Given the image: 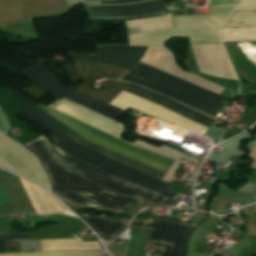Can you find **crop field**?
<instances>
[{"label":"crop field","mask_w":256,"mask_h":256,"mask_svg":"<svg viewBox=\"0 0 256 256\" xmlns=\"http://www.w3.org/2000/svg\"><path fill=\"white\" fill-rule=\"evenodd\" d=\"M40 135L23 144L45 169L52 192L88 208L106 211L135 203L164 204L167 197L69 155Z\"/></svg>","instance_id":"crop-field-1"},{"label":"crop field","mask_w":256,"mask_h":256,"mask_svg":"<svg viewBox=\"0 0 256 256\" xmlns=\"http://www.w3.org/2000/svg\"><path fill=\"white\" fill-rule=\"evenodd\" d=\"M235 7L210 8V13L205 15L174 16V28L130 35L129 45L163 47L162 43L172 36H191V44L221 43L222 25ZM146 49L137 46H98V63L128 70Z\"/></svg>","instance_id":"crop-field-2"},{"label":"crop field","mask_w":256,"mask_h":256,"mask_svg":"<svg viewBox=\"0 0 256 256\" xmlns=\"http://www.w3.org/2000/svg\"><path fill=\"white\" fill-rule=\"evenodd\" d=\"M6 93L8 95H10L13 99H15L17 102H19L21 105H23L24 107L29 109L31 112H33L34 114H36L37 116H39L40 118L45 120L47 123H49L56 129L61 131L63 134H65L66 136H68L69 138L74 140L76 143H78L84 147H87L89 149H92L96 152H99L103 155L111 157L115 160H118L122 163H125L129 166L137 168L141 171H144L148 174L156 176L160 179H162V177L165 175V172H167V170L170 168V166L174 162V160L163 157L161 155L150 152L148 150L130 146V145H128L116 138H113V137H111V136L91 127V126L84 125V124L64 115V114L56 112L41 103L38 104L42 108H44L46 111H48L50 114H52L54 117H56L61 122H63L65 125H67L69 128H71L73 131L78 133L80 136H82L98 145H101L103 147H106V148L116 151L118 153H121L128 157H131L135 160H138L140 162H143L145 164H148L150 166H153V167L163 170L165 172L155 169L153 167H150L148 165H145L143 163H140L138 161H135L131 158H128L126 156H123L121 154H118L116 152L108 150L106 148H103L101 146H98V145L80 137L78 134L73 132L71 129H69L67 126H65L63 123H61L59 120H57L52 115H50L48 112H46L44 109H42L40 106L34 104L33 102H31L29 99H27L25 96L18 93L17 91L13 90V91H9Z\"/></svg>","instance_id":"crop-field-3"},{"label":"crop field","mask_w":256,"mask_h":256,"mask_svg":"<svg viewBox=\"0 0 256 256\" xmlns=\"http://www.w3.org/2000/svg\"><path fill=\"white\" fill-rule=\"evenodd\" d=\"M20 74L25 76L27 79L38 85L40 88L58 100L64 98L112 120H114L122 112L121 110L107 103L70 90L66 87L67 85L63 84L49 69L45 68L41 64ZM64 99L54 104L51 108L98 129L113 134L117 137L120 136V133L123 129L121 124L91 112L78 105H75L71 102H68Z\"/></svg>","instance_id":"crop-field-4"},{"label":"crop field","mask_w":256,"mask_h":256,"mask_svg":"<svg viewBox=\"0 0 256 256\" xmlns=\"http://www.w3.org/2000/svg\"><path fill=\"white\" fill-rule=\"evenodd\" d=\"M122 80L137 83L207 115L223 110L227 98L138 62Z\"/></svg>","instance_id":"crop-field-5"},{"label":"crop field","mask_w":256,"mask_h":256,"mask_svg":"<svg viewBox=\"0 0 256 256\" xmlns=\"http://www.w3.org/2000/svg\"><path fill=\"white\" fill-rule=\"evenodd\" d=\"M122 92L154 103L160 107H163L169 111L181 115L191 121H194L206 128H208L214 121L213 119H210L171 99H168L166 97H163L161 95H158L156 93H153L151 91H148L133 84H129L126 88L122 90ZM122 92H120L109 104L137 116H139L142 112H145L147 114L158 117L170 123L176 124L188 130L199 133L201 135H203V133L206 131V128L196 123H193L181 116H178L154 104L124 94Z\"/></svg>","instance_id":"crop-field-6"},{"label":"crop field","mask_w":256,"mask_h":256,"mask_svg":"<svg viewBox=\"0 0 256 256\" xmlns=\"http://www.w3.org/2000/svg\"><path fill=\"white\" fill-rule=\"evenodd\" d=\"M16 112L21 116H23L24 118L34 122L42 130L46 131L48 134L54 137L53 143L57 145L59 148H61L64 152L70 155H73L85 162L93 164L97 167H99L102 164V162L106 159V157L102 155H99L97 153H94L90 150H87L79 146L78 144L73 142L71 139H69L68 137H66L59 131H57L55 128H53L52 126L44 122L42 119H40L39 117H37L36 115L28 111L23 106L20 105V107L17 109ZM101 168L113 174H116L120 177H123L127 180H130L134 183H137L141 186H144L153 191H156L160 194H163L167 197L173 198L176 195L173 193H169L168 186L166 183L160 180H157L155 178H152L148 175H145L141 172H138L136 170H133L129 167H126L122 164L114 162L110 159H108Z\"/></svg>","instance_id":"crop-field-7"},{"label":"crop field","mask_w":256,"mask_h":256,"mask_svg":"<svg viewBox=\"0 0 256 256\" xmlns=\"http://www.w3.org/2000/svg\"><path fill=\"white\" fill-rule=\"evenodd\" d=\"M3 134L0 132V168L49 188L47 177L37 158Z\"/></svg>","instance_id":"crop-field-8"},{"label":"crop field","mask_w":256,"mask_h":256,"mask_svg":"<svg viewBox=\"0 0 256 256\" xmlns=\"http://www.w3.org/2000/svg\"><path fill=\"white\" fill-rule=\"evenodd\" d=\"M197 224L161 219L133 220L129 228L151 229L149 243L170 246L165 256H182L186 237Z\"/></svg>","instance_id":"crop-field-9"},{"label":"crop field","mask_w":256,"mask_h":256,"mask_svg":"<svg viewBox=\"0 0 256 256\" xmlns=\"http://www.w3.org/2000/svg\"><path fill=\"white\" fill-rule=\"evenodd\" d=\"M142 0L129 1H100L101 4L126 3ZM92 17H124L141 15L153 12L164 11L161 0H153L135 5L110 6V7H88Z\"/></svg>","instance_id":"crop-field-10"},{"label":"crop field","mask_w":256,"mask_h":256,"mask_svg":"<svg viewBox=\"0 0 256 256\" xmlns=\"http://www.w3.org/2000/svg\"><path fill=\"white\" fill-rule=\"evenodd\" d=\"M36 214L46 215L52 213H62L75 216L65 206L58 202L51 194L39 186L19 178Z\"/></svg>","instance_id":"crop-field-11"},{"label":"crop field","mask_w":256,"mask_h":256,"mask_svg":"<svg viewBox=\"0 0 256 256\" xmlns=\"http://www.w3.org/2000/svg\"><path fill=\"white\" fill-rule=\"evenodd\" d=\"M125 24H126L128 35L147 32V31H153L158 29H164V28H170L172 27L171 13L162 15V16L128 21V22H125Z\"/></svg>","instance_id":"crop-field-12"},{"label":"crop field","mask_w":256,"mask_h":256,"mask_svg":"<svg viewBox=\"0 0 256 256\" xmlns=\"http://www.w3.org/2000/svg\"><path fill=\"white\" fill-rule=\"evenodd\" d=\"M42 251L100 250L98 242H82L80 239L40 240Z\"/></svg>","instance_id":"crop-field-13"},{"label":"crop field","mask_w":256,"mask_h":256,"mask_svg":"<svg viewBox=\"0 0 256 256\" xmlns=\"http://www.w3.org/2000/svg\"><path fill=\"white\" fill-rule=\"evenodd\" d=\"M85 221L93 228L100 236L101 239L111 240L114 236L119 234L128 223L83 216Z\"/></svg>","instance_id":"crop-field-14"},{"label":"crop field","mask_w":256,"mask_h":256,"mask_svg":"<svg viewBox=\"0 0 256 256\" xmlns=\"http://www.w3.org/2000/svg\"><path fill=\"white\" fill-rule=\"evenodd\" d=\"M223 41L256 40V28H224Z\"/></svg>","instance_id":"crop-field-15"},{"label":"crop field","mask_w":256,"mask_h":256,"mask_svg":"<svg viewBox=\"0 0 256 256\" xmlns=\"http://www.w3.org/2000/svg\"><path fill=\"white\" fill-rule=\"evenodd\" d=\"M256 26V11L234 12L225 27Z\"/></svg>","instance_id":"crop-field-16"},{"label":"crop field","mask_w":256,"mask_h":256,"mask_svg":"<svg viewBox=\"0 0 256 256\" xmlns=\"http://www.w3.org/2000/svg\"><path fill=\"white\" fill-rule=\"evenodd\" d=\"M101 252H56V253H35V254H10L0 256H100Z\"/></svg>","instance_id":"crop-field-17"},{"label":"crop field","mask_w":256,"mask_h":256,"mask_svg":"<svg viewBox=\"0 0 256 256\" xmlns=\"http://www.w3.org/2000/svg\"><path fill=\"white\" fill-rule=\"evenodd\" d=\"M20 238H32L31 232L0 231V240ZM4 241L5 240L0 241V253H6Z\"/></svg>","instance_id":"crop-field-18"},{"label":"crop field","mask_w":256,"mask_h":256,"mask_svg":"<svg viewBox=\"0 0 256 256\" xmlns=\"http://www.w3.org/2000/svg\"><path fill=\"white\" fill-rule=\"evenodd\" d=\"M168 185L170 187V191H172V192H175V193L180 194V195L190 194V191H189L188 187L176 185V184L170 183V182H168Z\"/></svg>","instance_id":"crop-field-19"},{"label":"crop field","mask_w":256,"mask_h":256,"mask_svg":"<svg viewBox=\"0 0 256 256\" xmlns=\"http://www.w3.org/2000/svg\"><path fill=\"white\" fill-rule=\"evenodd\" d=\"M239 1L240 0H211V2L206 6L238 3Z\"/></svg>","instance_id":"crop-field-20"},{"label":"crop field","mask_w":256,"mask_h":256,"mask_svg":"<svg viewBox=\"0 0 256 256\" xmlns=\"http://www.w3.org/2000/svg\"><path fill=\"white\" fill-rule=\"evenodd\" d=\"M9 200H12V199L10 198V196L6 193V191L0 185V205L9 201Z\"/></svg>","instance_id":"crop-field-21"},{"label":"crop field","mask_w":256,"mask_h":256,"mask_svg":"<svg viewBox=\"0 0 256 256\" xmlns=\"http://www.w3.org/2000/svg\"><path fill=\"white\" fill-rule=\"evenodd\" d=\"M250 157L253 158V164L251 165L252 167H254V169H256V146L253 148V150L250 152L249 154Z\"/></svg>","instance_id":"crop-field-22"},{"label":"crop field","mask_w":256,"mask_h":256,"mask_svg":"<svg viewBox=\"0 0 256 256\" xmlns=\"http://www.w3.org/2000/svg\"><path fill=\"white\" fill-rule=\"evenodd\" d=\"M246 88L256 92V81L248 85Z\"/></svg>","instance_id":"crop-field-23"},{"label":"crop field","mask_w":256,"mask_h":256,"mask_svg":"<svg viewBox=\"0 0 256 256\" xmlns=\"http://www.w3.org/2000/svg\"><path fill=\"white\" fill-rule=\"evenodd\" d=\"M249 256H256V253H250Z\"/></svg>","instance_id":"crop-field-24"},{"label":"crop field","mask_w":256,"mask_h":256,"mask_svg":"<svg viewBox=\"0 0 256 256\" xmlns=\"http://www.w3.org/2000/svg\"><path fill=\"white\" fill-rule=\"evenodd\" d=\"M105 256H108V254L106 253V255Z\"/></svg>","instance_id":"crop-field-25"},{"label":"crop field","mask_w":256,"mask_h":256,"mask_svg":"<svg viewBox=\"0 0 256 256\" xmlns=\"http://www.w3.org/2000/svg\"><path fill=\"white\" fill-rule=\"evenodd\" d=\"M255 214H256V212H255Z\"/></svg>","instance_id":"crop-field-26"},{"label":"crop field","mask_w":256,"mask_h":256,"mask_svg":"<svg viewBox=\"0 0 256 256\" xmlns=\"http://www.w3.org/2000/svg\"><path fill=\"white\" fill-rule=\"evenodd\" d=\"M1 184V183H0Z\"/></svg>","instance_id":"crop-field-27"}]
</instances>
